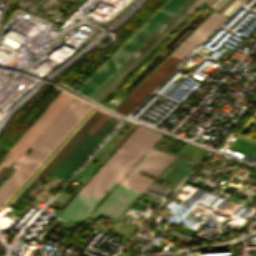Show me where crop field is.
<instances>
[{
	"label": "crop field",
	"mask_w": 256,
	"mask_h": 256,
	"mask_svg": "<svg viewBox=\"0 0 256 256\" xmlns=\"http://www.w3.org/2000/svg\"><path fill=\"white\" fill-rule=\"evenodd\" d=\"M194 0H186L183 5L172 14L178 17ZM170 16L127 60L133 62L176 18Z\"/></svg>",
	"instance_id": "crop-field-9"
},
{
	"label": "crop field",
	"mask_w": 256,
	"mask_h": 256,
	"mask_svg": "<svg viewBox=\"0 0 256 256\" xmlns=\"http://www.w3.org/2000/svg\"><path fill=\"white\" fill-rule=\"evenodd\" d=\"M181 59L169 55L145 80H143L114 110L126 115L133 107L167 77Z\"/></svg>",
	"instance_id": "crop-field-6"
},
{
	"label": "crop field",
	"mask_w": 256,
	"mask_h": 256,
	"mask_svg": "<svg viewBox=\"0 0 256 256\" xmlns=\"http://www.w3.org/2000/svg\"><path fill=\"white\" fill-rule=\"evenodd\" d=\"M203 1L196 0L185 12L191 14ZM183 13L156 41H154L133 63L125 60L88 98L101 103L144 59H146L188 16Z\"/></svg>",
	"instance_id": "crop-field-5"
},
{
	"label": "crop field",
	"mask_w": 256,
	"mask_h": 256,
	"mask_svg": "<svg viewBox=\"0 0 256 256\" xmlns=\"http://www.w3.org/2000/svg\"><path fill=\"white\" fill-rule=\"evenodd\" d=\"M240 3L241 0H216L210 8L228 17Z\"/></svg>",
	"instance_id": "crop-field-10"
},
{
	"label": "crop field",
	"mask_w": 256,
	"mask_h": 256,
	"mask_svg": "<svg viewBox=\"0 0 256 256\" xmlns=\"http://www.w3.org/2000/svg\"><path fill=\"white\" fill-rule=\"evenodd\" d=\"M162 134L138 126L105 164L85 184L81 191L98 197L112 182L142 192L152 181L138 174L140 171L156 177L173 156L151 148Z\"/></svg>",
	"instance_id": "crop-field-1"
},
{
	"label": "crop field",
	"mask_w": 256,
	"mask_h": 256,
	"mask_svg": "<svg viewBox=\"0 0 256 256\" xmlns=\"http://www.w3.org/2000/svg\"><path fill=\"white\" fill-rule=\"evenodd\" d=\"M73 99L72 96L61 92L58 97L49 105L41 116L32 124L24 135L16 142L9 152L0 160V179L27 151L35 140L44 132L52 121Z\"/></svg>",
	"instance_id": "crop-field-4"
},
{
	"label": "crop field",
	"mask_w": 256,
	"mask_h": 256,
	"mask_svg": "<svg viewBox=\"0 0 256 256\" xmlns=\"http://www.w3.org/2000/svg\"><path fill=\"white\" fill-rule=\"evenodd\" d=\"M225 19L213 12L173 52L184 58L194 46L199 45Z\"/></svg>",
	"instance_id": "crop-field-7"
},
{
	"label": "crop field",
	"mask_w": 256,
	"mask_h": 256,
	"mask_svg": "<svg viewBox=\"0 0 256 256\" xmlns=\"http://www.w3.org/2000/svg\"><path fill=\"white\" fill-rule=\"evenodd\" d=\"M185 0H168L146 23H144L100 68H98L76 91L87 97Z\"/></svg>",
	"instance_id": "crop-field-3"
},
{
	"label": "crop field",
	"mask_w": 256,
	"mask_h": 256,
	"mask_svg": "<svg viewBox=\"0 0 256 256\" xmlns=\"http://www.w3.org/2000/svg\"><path fill=\"white\" fill-rule=\"evenodd\" d=\"M91 105L74 98L54 122L33 144L36 148L28 156L23 155L13 166L17 169L0 188V206L12 192L28 177L66 132Z\"/></svg>",
	"instance_id": "crop-field-2"
},
{
	"label": "crop field",
	"mask_w": 256,
	"mask_h": 256,
	"mask_svg": "<svg viewBox=\"0 0 256 256\" xmlns=\"http://www.w3.org/2000/svg\"><path fill=\"white\" fill-rule=\"evenodd\" d=\"M95 107H91L85 115L70 129V131L59 141V143L53 148V150L46 156V158L40 163V165L31 173V175L18 187V189L7 199V201L0 207V210L8 207L18 194L27 186V184L40 172V170L46 165V163L53 157V155L66 143V141L76 132V130L82 125V123L89 117V115L95 110Z\"/></svg>",
	"instance_id": "crop-field-8"
}]
</instances>
